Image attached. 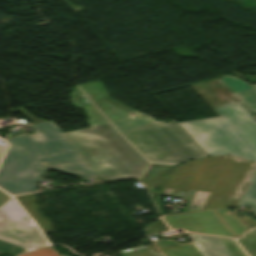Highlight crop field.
<instances>
[{"mask_svg":"<svg viewBox=\"0 0 256 256\" xmlns=\"http://www.w3.org/2000/svg\"><path fill=\"white\" fill-rule=\"evenodd\" d=\"M71 102L86 110L91 128L64 134L96 174L106 183L138 178L148 162L118 134L77 86L72 91Z\"/></svg>","mask_w":256,"mask_h":256,"instance_id":"34b2d1b8","label":"crop field"},{"mask_svg":"<svg viewBox=\"0 0 256 256\" xmlns=\"http://www.w3.org/2000/svg\"><path fill=\"white\" fill-rule=\"evenodd\" d=\"M29 249L20 247V246H16L4 241L0 240V252L6 253L8 255L14 256V255H18L21 254L23 252L28 251Z\"/></svg>","mask_w":256,"mask_h":256,"instance_id":"733c2abd","label":"crop field"},{"mask_svg":"<svg viewBox=\"0 0 256 256\" xmlns=\"http://www.w3.org/2000/svg\"><path fill=\"white\" fill-rule=\"evenodd\" d=\"M236 238L240 237L249 228L239 221L227 208L215 210Z\"/></svg>","mask_w":256,"mask_h":256,"instance_id":"22f410ed","label":"crop field"},{"mask_svg":"<svg viewBox=\"0 0 256 256\" xmlns=\"http://www.w3.org/2000/svg\"><path fill=\"white\" fill-rule=\"evenodd\" d=\"M238 205H243L253 209L256 215V172L241 197Z\"/></svg>","mask_w":256,"mask_h":256,"instance_id":"5142ce71","label":"crop field"},{"mask_svg":"<svg viewBox=\"0 0 256 256\" xmlns=\"http://www.w3.org/2000/svg\"><path fill=\"white\" fill-rule=\"evenodd\" d=\"M163 218L172 229L181 228L189 232L234 237L214 210L169 215Z\"/></svg>","mask_w":256,"mask_h":256,"instance_id":"5a996713","label":"crop field"},{"mask_svg":"<svg viewBox=\"0 0 256 256\" xmlns=\"http://www.w3.org/2000/svg\"><path fill=\"white\" fill-rule=\"evenodd\" d=\"M148 234L153 233L151 229L146 230Z\"/></svg>","mask_w":256,"mask_h":256,"instance_id":"dafd665d","label":"crop field"},{"mask_svg":"<svg viewBox=\"0 0 256 256\" xmlns=\"http://www.w3.org/2000/svg\"><path fill=\"white\" fill-rule=\"evenodd\" d=\"M17 111H19L23 116H25L29 121H31L33 124L43 122V120L36 119L32 116H30L26 111H24L21 107L16 108Z\"/></svg>","mask_w":256,"mask_h":256,"instance_id":"214f88e0","label":"crop field"},{"mask_svg":"<svg viewBox=\"0 0 256 256\" xmlns=\"http://www.w3.org/2000/svg\"><path fill=\"white\" fill-rule=\"evenodd\" d=\"M155 187H159V186H156V185L148 183L146 188H148V189H155Z\"/></svg>","mask_w":256,"mask_h":256,"instance_id":"92a150f3","label":"crop field"},{"mask_svg":"<svg viewBox=\"0 0 256 256\" xmlns=\"http://www.w3.org/2000/svg\"><path fill=\"white\" fill-rule=\"evenodd\" d=\"M220 80L252 113H256V85H248L245 81L232 76H224Z\"/></svg>","mask_w":256,"mask_h":256,"instance_id":"3316defc","label":"crop field"},{"mask_svg":"<svg viewBox=\"0 0 256 256\" xmlns=\"http://www.w3.org/2000/svg\"><path fill=\"white\" fill-rule=\"evenodd\" d=\"M54 252H56L57 253V251L54 249V247L53 246H51L50 247Z\"/></svg>","mask_w":256,"mask_h":256,"instance_id":"00972430","label":"crop field"},{"mask_svg":"<svg viewBox=\"0 0 256 256\" xmlns=\"http://www.w3.org/2000/svg\"><path fill=\"white\" fill-rule=\"evenodd\" d=\"M255 115V117H256V114H254Z\"/></svg>","mask_w":256,"mask_h":256,"instance_id":"a9b5d70f","label":"crop field"},{"mask_svg":"<svg viewBox=\"0 0 256 256\" xmlns=\"http://www.w3.org/2000/svg\"><path fill=\"white\" fill-rule=\"evenodd\" d=\"M63 256H67V255H63Z\"/></svg>","mask_w":256,"mask_h":256,"instance_id":"4177f3b9","label":"crop field"},{"mask_svg":"<svg viewBox=\"0 0 256 256\" xmlns=\"http://www.w3.org/2000/svg\"><path fill=\"white\" fill-rule=\"evenodd\" d=\"M0 237L29 248L48 244L13 199L0 208Z\"/></svg>","mask_w":256,"mask_h":256,"instance_id":"e52e79f7","label":"crop field"},{"mask_svg":"<svg viewBox=\"0 0 256 256\" xmlns=\"http://www.w3.org/2000/svg\"><path fill=\"white\" fill-rule=\"evenodd\" d=\"M21 256H60V255L54 253L49 247H47V248L31 251Z\"/></svg>","mask_w":256,"mask_h":256,"instance_id":"4a817a6b","label":"crop field"},{"mask_svg":"<svg viewBox=\"0 0 256 256\" xmlns=\"http://www.w3.org/2000/svg\"><path fill=\"white\" fill-rule=\"evenodd\" d=\"M172 169L171 166L151 164L140 180L161 186Z\"/></svg>","mask_w":256,"mask_h":256,"instance_id":"cbeb9de0","label":"crop field"},{"mask_svg":"<svg viewBox=\"0 0 256 256\" xmlns=\"http://www.w3.org/2000/svg\"><path fill=\"white\" fill-rule=\"evenodd\" d=\"M210 157L188 161L176 166L163 184L160 193L189 199Z\"/></svg>","mask_w":256,"mask_h":256,"instance_id":"d8731c3e","label":"crop field"},{"mask_svg":"<svg viewBox=\"0 0 256 256\" xmlns=\"http://www.w3.org/2000/svg\"><path fill=\"white\" fill-rule=\"evenodd\" d=\"M7 141L0 188L11 195L36 191L35 182L50 168L79 177L96 175L67 138L35 143L24 134Z\"/></svg>","mask_w":256,"mask_h":256,"instance_id":"ac0d7876","label":"crop field"},{"mask_svg":"<svg viewBox=\"0 0 256 256\" xmlns=\"http://www.w3.org/2000/svg\"><path fill=\"white\" fill-rule=\"evenodd\" d=\"M252 256H256V229L240 239Z\"/></svg>","mask_w":256,"mask_h":256,"instance_id":"d9b57169","label":"crop field"},{"mask_svg":"<svg viewBox=\"0 0 256 256\" xmlns=\"http://www.w3.org/2000/svg\"><path fill=\"white\" fill-rule=\"evenodd\" d=\"M255 166L230 156L211 157L182 213L233 207Z\"/></svg>","mask_w":256,"mask_h":256,"instance_id":"f4fd0767","label":"crop field"},{"mask_svg":"<svg viewBox=\"0 0 256 256\" xmlns=\"http://www.w3.org/2000/svg\"><path fill=\"white\" fill-rule=\"evenodd\" d=\"M188 237L192 243L179 244L173 239H163L155 245L165 256H246L231 239L192 234Z\"/></svg>","mask_w":256,"mask_h":256,"instance_id":"dd49c442","label":"crop field"},{"mask_svg":"<svg viewBox=\"0 0 256 256\" xmlns=\"http://www.w3.org/2000/svg\"><path fill=\"white\" fill-rule=\"evenodd\" d=\"M221 117L178 123L208 156L256 162V121L239 103L214 108Z\"/></svg>","mask_w":256,"mask_h":256,"instance_id":"412701ff","label":"crop field"},{"mask_svg":"<svg viewBox=\"0 0 256 256\" xmlns=\"http://www.w3.org/2000/svg\"><path fill=\"white\" fill-rule=\"evenodd\" d=\"M4 148H5V146H0V157L2 155ZM10 199H11L10 196H8L4 192L0 191V207L3 206Z\"/></svg>","mask_w":256,"mask_h":256,"instance_id":"bc2a9ffb","label":"crop field"},{"mask_svg":"<svg viewBox=\"0 0 256 256\" xmlns=\"http://www.w3.org/2000/svg\"><path fill=\"white\" fill-rule=\"evenodd\" d=\"M36 134L32 137L35 142L64 138V134L50 121L31 126Z\"/></svg>","mask_w":256,"mask_h":256,"instance_id":"d1516ede","label":"crop field"},{"mask_svg":"<svg viewBox=\"0 0 256 256\" xmlns=\"http://www.w3.org/2000/svg\"><path fill=\"white\" fill-rule=\"evenodd\" d=\"M79 87L151 163L175 166L207 156L175 121L155 122L109 99L99 82ZM130 112L135 114L129 115Z\"/></svg>","mask_w":256,"mask_h":256,"instance_id":"8a807250","label":"crop field"},{"mask_svg":"<svg viewBox=\"0 0 256 256\" xmlns=\"http://www.w3.org/2000/svg\"><path fill=\"white\" fill-rule=\"evenodd\" d=\"M16 198L44 233L51 232V224L37 211L38 207L34 203L35 197L33 194L18 196Z\"/></svg>","mask_w":256,"mask_h":256,"instance_id":"28ad6ade","label":"crop field"}]
</instances>
